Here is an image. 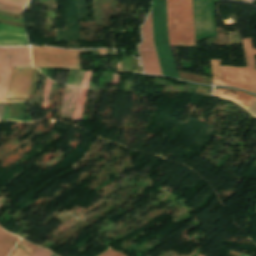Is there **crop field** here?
I'll list each match as a JSON object with an SVG mask.
<instances>
[{
	"mask_svg": "<svg viewBox=\"0 0 256 256\" xmlns=\"http://www.w3.org/2000/svg\"><path fill=\"white\" fill-rule=\"evenodd\" d=\"M33 66L79 69V50L31 47Z\"/></svg>",
	"mask_w": 256,
	"mask_h": 256,
	"instance_id": "3",
	"label": "crop field"
},
{
	"mask_svg": "<svg viewBox=\"0 0 256 256\" xmlns=\"http://www.w3.org/2000/svg\"><path fill=\"white\" fill-rule=\"evenodd\" d=\"M36 249L37 246L21 240L11 256H32Z\"/></svg>",
	"mask_w": 256,
	"mask_h": 256,
	"instance_id": "12",
	"label": "crop field"
},
{
	"mask_svg": "<svg viewBox=\"0 0 256 256\" xmlns=\"http://www.w3.org/2000/svg\"><path fill=\"white\" fill-rule=\"evenodd\" d=\"M19 238L5 232L0 228V256H7Z\"/></svg>",
	"mask_w": 256,
	"mask_h": 256,
	"instance_id": "11",
	"label": "crop field"
},
{
	"mask_svg": "<svg viewBox=\"0 0 256 256\" xmlns=\"http://www.w3.org/2000/svg\"><path fill=\"white\" fill-rule=\"evenodd\" d=\"M0 11L14 13V14H22V9L16 8L13 6L5 5L0 3Z\"/></svg>",
	"mask_w": 256,
	"mask_h": 256,
	"instance_id": "14",
	"label": "crop field"
},
{
	"mask_svg": "<svg viewBox=\"0 0 256 256\" xmlns=\"http://www.w3.org/2000/svg\"><path fill=\"white\" fill-rule=\"evenodd\" d=\"M224 85L249 90L246 68L221 67Z\"/></svg>",
	"mask_w": 256,
	"mask_h": 256,
	"instance_id": "7",
	"label": "crop field"
},
{
	"mask_svg": "<svg viewBox=\"0 0 256 256\" xmlns=\"http://www.w3.org/2000/svg\"><path fill=\"white\" fill-rule=\"evenodd\" d=\"M116 256H125V255H124V254L119 253V254H117Z\"/></svg>",
	"mask_w": 256,
	"mask_h": 256,
	"instance_id": "21",
	"label": "crop field"
},
{
	"mask_svg": "<svg viewBox=\"0 0 256 256\" xmlns=\"http://www.w3.org/2000/svg\"><path fill=\"white\" fill-rule=\"evenodd\" d=\"M33 68L13 67L7 98H27Z\"/></svg>",
	"mask_w": 256,
	"mask_h": 256,
	"instance_id": "6",
	"label": "crop field"
},
{
	"mask_svg": "<svg viewBox=\"0 0 256 256\" xmlns=\"http://www.w3.org/2000/svg\"><path fill=\"white\" fill-rule=\"evenodd\" d=\"M213 80L215 85H223L221 70H220V61H211Z\"/></svg>",
	"mask_w": 256,
	"mask_h": 256,
	"instance_id": "13",
	"label": "crop field"
},
{
	"mask_svg": "<svg viewBox=\"0 0 256 256\" xmlns=\"http://www.w3.org/2000/svg\"><path fill=\"white\" fill-rule=\"evenodd\" d=\"M142 37L144 42L138 46L141 55L144 70L149 74L162 75L152 33V18L151 13L145 24L141 27Z\"/></svg>",
	"mask_w": 256,
	"mask_h": 256,
	"instance_id": "5",
	"label": "crop field"
},
{
	"mask_svg": "<svg viewBox=\"0 0 256 256\" xmlns=\"http://www.w3.org/2000/svg\"><path fill=\"white\" fill-rule=\"evenodd\" d=\"M12 66L31 67L28 47H8L0 50V101H5Z\"/></svg>",
	"mask_w": 256,
	"mask_h": 256,
	"instance_id": "4",
	"label": "crop field"
},
{
	"mask_svg": "<svg viewBox=\"0 0 256 256\" xmlns=\"http://www.w3.org/2000/svg\"><path fill=\"white\" fill-rule=\"evenodd\" d=\"M100 55L107 54L106 50H99Z\"/></svg>",
	"mask_w": 256,
	"mask_h": 256,
	"instance_id": "19",
	"label": "crop field"
},
{
	"mask_svg": "<svg viewBox=\"0 0 256 256\" xmlns=\"http://www.w3.org/2000/svg\"><path fill=\"white\" fill-rule=\"evenodd\" d=\"M118 252L114 251V250H108L106 251L105 253H103L102 255L100 256H114L116 255Z\"/></svg>",
	"mask_w": 256,
	"mask_h": 256,
	"instance_id": "17",
	"label": "crop field"
},
{
	"mask_svg": "<svg viewBox=\"0 0 256 256\" xmlns=\"http://www.w3.org/2000/svg\"><path fill=\"white\" fill-rule=\"evenodd\" d=\"M252 114H254L256 116V102L254 101V103L251 105V107L249 108V110Z\"/></svg>",
	"mask_w": 256,
	"mask_h": 256,
	"instance_id": "18",
	"label": "crop field"
},
{
	"mask_svg": "<svg viewBox=\"0 0 256 256\" xmlns=\"http://www.w3.org/2000/svg\"><path fill=\"white\" fill-rule=\"evenodd\" d=\"M246 66L248 71L250 89L252 93L256 94V67L254 55L256 50H253L252 38L242 39Z\"/></svg>",
	"mask_w": 256,
	"mask_h": 256,
	"instance_id": "9",
	"label": "crop field"
},
{
	"mask_svg": "<svg viewBox=\"0 0 256 256\" xmlns=\"http://www.w3.org/2000/svg\"><path fill=\"white\" fill-rule=\"evenodd\" d=\"M171 46L196 47L193 33L191 0H166Z\"/></svg>",
	"mask_w": 256,
	"mask_h": 256,
	"instance_id": "1",
	"label": "crop field"
},
{
	"mask_svg": "<svg viewBox=\"0 0 256 256\" xmlns=\"http://www.w3.org/2000/svg\"><path fill=\"white\" fill-rule=\"evenodd\" d=\"M152 18L154 42L162 74L179 79L175 58L168 41L165 0H153Z\"/></svg>",
	"mask_w": 256,
	"mask_h": 256,
	"instance_id": "2",
	"label": "crop field"
},
{
	"mask_svg": "<svg viewBox=\"0 0 256 256\" xmlns=\"http://www.w3.org/2000/svg\"><path fill=\"white\" fill-rule=\"evenodd\" d=\"M29 0H0V2H4L9 5L23 7Z\"/></svg>",
	"mask_w": 256,
	"mask_h": 256,
	"instance_id": "15",
	"label": "crop field"
},
{
	"mask_svg": "<svg viewBox=\"0 0 256 256\" xmlns=\"http://www.w3.org/2000/svg\"><path fill=\"white\" fill-rule=\"evenodd\" d=\"M0 45H28L24 29L0 25Z\"/></svg>",
	"mask_w": 256,
	"mask_h": 256,
	"instance_id": "8",
	"label": "crop field"
},
{
	"mask_svg": "<svg viewBox=\"0 0 256 256\" xmlns=\"http://www.w3.org/2000/svg\"><path fill=\"white\" fill-rule=\"evenodd\" d=\"M213 95L233 99L248 110L255 97L232 89H216Z\"/></svg>",
	"mask_w": 256,
	"mask_h": 256,
	"instance_id": "10",
	"label": "crop field"
},
{
	"mask_svg": "<svg viewBox=\"0 0 256 256\" xmlns=\"http://www.w3.org/2000/svg\"><path fill=\"white\" fill-rule=\"evenodd\" d=\"M52 253L38 247L35 254L33 256H51Z\"/></svg>",
	"mask_w": 256,
	"mask_h": 256,
	"instance_id": "16",
	"label": "crop field"
},
{
	"mask_svg": "<svg viewBox=\"0 0 256 256\" xmlns=\"http://www.w3.org/2000/svg\"><path fill=\"white\" fill-rule=\"evenodd\" d=\"M117 70H120V62L117 64Z\"/></svg>",
	"mask_w": 256,
	"mask_h": 256,
	"instance_id": "20",
	"label": "crop field"
},
{
	"mask_svg": "<svg viewBox=\"0 0 256 256\" xmlns=\"http://www.w3.org/2000/svg\"><path fill=\"white\" fill-rule=\"evenodd\" d=\"M115 54H117L116 50H114Z\"/></svg>",
	"mask_w": 256,
	"mask_h": 256,
	"instance_id": "22",
	"label": "crop field"
}]
</instances>
